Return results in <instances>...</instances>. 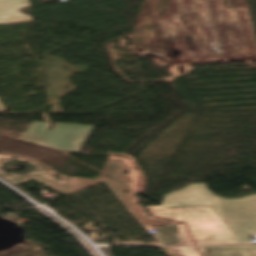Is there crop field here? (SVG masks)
Listing matches in <instances>:
<instances>
[{
    "instance_id": "34b2d1b8",
    "label": "crop field",
    "mask_w": 256,
    "mask_h": 256,
    "mask_svg": "<svg viewBox=\"0 0 256 256\" xmlns=\"http://www.w3.org/2000/svg\"><path fill=\"white\" fill-rule=\"evenodd\" d=\"M196 245L250 243L256 220L186 223Z\"/></svg>"
},
{
    "instance_id": "412701ff",
    "label": "crop field",
    "mask_w": 256,
    "mask_h": 256,
    "mask_svg": "<svg viewBox=\"0 0 256 256\" xmlns=\"http://www.w3.org/2000/svg\"><path fill=\"white\" fill-rule=\"evenodd\" d=\"M155 238L159 245H193L184 225H167L159 229Z\"/></svg>"
},
{
    "instance_id": "8a807250",
    "label": "crop field",
    "mask_w": 256,
    "mask_h": 256,
    "mask_svg": "<svg viewBox=\"0 0 256 256\" xmlns=\"http://www.w3.org/2000/svg\"><path fill=\"white\" fill-rule=\"evenodd\" d=\"M147 209L152 216L179 222L251 220L256 219V195L223 199L198 183L166 195L161 206Z\"/></svg>"
},
{
    "instance_id": "f4fd0767",
    "label": "crop field",
    "mask_w": 256,
    "mask_h": 256,
    "mask_svg": "<svg viewBox=\"0 0 256 256\" xmlns=\"http://www.w3.org/2000/svg\"><path fill=\"white\" fill-rule=\"evenodd\" d=\"M193 248L196 247H178L174 249L180 251L183 256H200L198 250L193 251Z\"/></svg>"
},
{
    "instance_id": "ac0d7876",
    "label": "crop field",
    "mask_w": 256,
    "mask_h": 256,
    "mask_svg": "<svg viewBox=\"0 0 256 256\" xmlns=\"http://www.w3.org/2000/svg\"><path fill=\"white\" fill-rule=\"evenodd\" d=\"M51 123L33 122L20 142L65 152L79 153L94 126L56 124L47 131Z\"/></svg>"
}]
</instances>
